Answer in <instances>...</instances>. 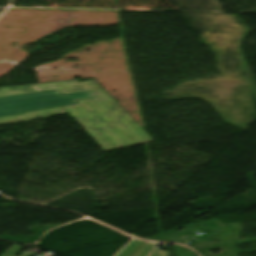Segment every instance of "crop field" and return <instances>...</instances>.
I'll return each instance as SVG.
<instances>
[{"mask_svg":"<svg viewBox=\"0 0 256 256\" xmlns=\"http://www.w3.org/2000/svg\"><path fill=\"white\" fill-rule=\"evenodd\" d=\"M89 97H92L90 91L61 95L58 90L1 97L0 116L38 108L75 104L78 99Z\"/></svg>","mask_w":256,"mask_h":256,"instance_id":"2","label":"crop field"},{"mask_svg":"<svg viewBox=\"0 0 256 256\" xmlns=\"http://www.w3.org/2000/svg\"><path fill=\"white\" fill-rule=\"evenodd\" d=\"M49 89H58L62 94L91 90L94 99L79 101V104L70 107L29 111L22 115L2 117L0 124L68 112L105 151L151 141L137 123L94 81L79 83L78 80H74L2 88L0 97Z\"/></svg>","mask_w":256,"mask_h":256,"instance_id":"1","label":"crop field"},{"mask_svg":"<svg viewBox=\"0 0 256 256\" xmlns=\"http://www.w3.org/2000/svg\"><path fill=\"white\" fill-rule=\"evenodd\" d=\"M144 240L132 239L125 247H123L115 256H129L136 248H138Z\"/></svg>","mask_w":256,"mask_h":256,"instance_id":"4","label":"crop field"},{"mask_svg":"<svg viewBox=\"0 0 256 256\" xmlns=\"http://www.w3.org/2000/svg\"><path fill=\"white\" fill-rule=\"evenodd\" d=\"M160 243L146 241L132 256H167L169 252L159 250Z\"/></svg>","mask_w":256,"mask_h":256,"instance_id":"3","label":"crop field"}]
</instances>
